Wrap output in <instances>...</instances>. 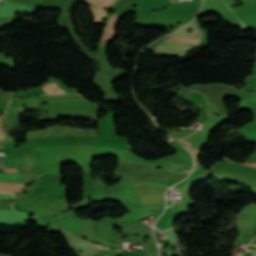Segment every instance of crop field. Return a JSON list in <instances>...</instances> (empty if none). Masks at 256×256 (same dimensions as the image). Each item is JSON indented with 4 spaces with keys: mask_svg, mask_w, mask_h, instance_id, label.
<instances>
[{
    "mask_svg": "<svg viewBox=\"0 0 256 256\" xmlns=\"http://www.w3.org/2000/svg\"><path fill=\"white\" fill-rule=\"evenodd\" d=\"M172 227V226H171Z\"/></svg>",
    "mask_w": 256,
    "mask_h": 256,
    "instance_id": "crop-field-16",
    "label": "crop field"
},
{
    "mask_svg": "<svg viewBox=\"0 0 256 256\" xmlns=\"http://www.w3.org/2000/svg\"><path fill=\"white\" fill-rule=\"evenodd\" d=\"M22 174L0 173V182L18 183Z\"/></svg>",
    "mask_w": 256,
    "mask_h": 256,
    "instance_id": "crop-field-6",
    "label": "crop field"
},
{
    "mask_svg": "<svg viewBox=\"0 0 256 256\" xmlns=\"http://www.w3.org/2000/svg\"><path fill=\"white\" fill-rule=\"evenodd\" d=\"M180 141H183L187 146H189L191 152H192L194 155L197 154L196 149H195L190 143L186 142V141L183 140V139H180ZM195 158H196V165H195V168H194V169H197V168L199 167V164H198V155H196Z\"/></svg>",
    "mask_w": 256,
    "mask_h": 256,
    "instance_id": "crop-field-9",
    "label": "crop field"
},
{
    "mask_svg": "<svg viewBox=\"0 0 256 256\" xmlns=\"http://www.w3.org/2000/svg\"><path fill=\"white\" fill-rule=\"evenodd\" d=\"M97 137H88V136H70V137H54V138H45L27 141L20 149L32 148V147H44V146H54V145H67V144H78V143H87V144H97ZM4 153L12 152L15 150V143L10 145L3 146Z\"/></svg>",
    "mask_w": 256,
    "mask_h": 256,
    "instance_id": "crop-field-2",
    "label": "crop field"
},
{
    "mask_svg": "<svg viewBox=\"0 0 256 256\" xmlns=\"http://www.w3.org/2000/svg\"><path fill=\"white\" fill-rule=\"evenodd\" d=\"M186 28H192L194 31L193 34H187L185 32ZM171 36L202 39L203 32L199 28L196 20L194 19L186 27L176 31L175 33L171 34ZM176 37H169V38H176ZM178 39H186V38H178ZM178 39H167L157 44L152 49L155 51L156 54L184 55L185 51L195 47L200 43L196 41H201L197 39H187V40H196V41H187V40H178Z\"/></svg>",
    "mask_w": 256,
    "mask_h": 256,
    "instance_id": "crop-field-1",
    "label": "crop field"
},
{
    "mask_svg": "<svg viewBox=\"0 0 256 256\" xmlns=\"http://www.w3.org/2000/svg\"><path fill=\"white\" fill-rule=\"evenodd\" d=\"M5 172H18V170L4 169Z\"/></svg>",
    "mask_w": 256,
    "mask_h": 256,
    "instance_id": "crop-field-14",
    "label": "crop field"
},
{
    "mask_svg": "<svg viewBox=\"0 0 256 256\" xmlns=\"http://www.w3.org/2000/svg\"><path fill=\"white\" fill-rule=\"evenodd\" d=\"M13 208H14L15 210L24 211V212H27V210H28L27 207H25L24 205H22V204H20V203H16V202H14Z\"/></svg>",
    "mask_w": 256,
    "mask_h": 256,
    "instance_id": "crop-field-10",
    "label": "crop field"
},
{
    "mask_svg": "<svg viewBox=\"0 0 256 256\" xmlns=\"http://www.w3.org/2000/svg\"><path fill=\"white\" fill-rule=\"evenodd\" d=\"M23 186L21 184L0 183V192H14L20 190Z\"/></svg>",
    "mask_w": 256,
    "mask_h": 256,
    "instance_id": "crop-field-7",
    "label": "crop field"
},
{
    "mask_svg": "<svg viewBox=\"0 0 256 256\" xmlns=\"http://www.w3.org/2000/svg\"><path fill=\"white\" fill-rule=\"evenodd\" d=\"M37 101H66V100H85L81 98L80 95L77 94H63V95H48V96H39L35 97Z\"/></svg>",
    "mask_w": 256,
    "mask_h": 256,
    "instance_id": "crop-field-5",
    "label": "crop field"
},
{
    "mask_svg": "<svg viewBox=\"0 0 256 256\" xmlns=\"http://www.w3.org/2000/svg\"><path fill=\"white\" fill-rule=\"evenodd\" d=\"M18 222L22 223V227H26L25 221L20 214L11 210H0V223L16 224Z\"/></svg>",
    "mask_w": 256,
    "mask_h": 256,
    "instance_id": "crop-field-4",
    "label": "crop field"
},
{
    "mask_svg": "<svg viewBox=\"0 0 256 256\" xmlns=\"http://www.w3.org/2000/svg\"><path fill=\"white\" fill-rule=\"evenodd\" d=\"M19 213L22 215V217H23L24 219L27 218L28 213H24V212H19Z\"/></svg>",
    "mask_w": 256,
    "mask_h": 256,
    "instance_id": "crop-field-13",
    "label": "crop field"
},
{
    "mask_svg": "<svg viewBox=\"0 0 256 256\" xmlns=\"http://www.w3.org/2000/svg\"><path fill=\"white\" fill-rule=\"evenodd\" d=\"M1 148H2V145H1Z\"/></svg>",
    "mask_w": 256,
    "mask_h": 256,
    "instance_id": "crop-field-15",
    "label": "crop field"
},
{
    "mask_svg": "<svg viewBox=\"0 0 256 256\" xmlns=\"http://www.w3.org/2000/svg\"><path fill=\"white\" fill-rule=\"evenodd\" d=\"M20 100H13V101H11L9 106H8V108L19 106Z\"/></svg>",
    "mask_w": 256,
    "mask_h": 256,
    "instance_id": "crop-field-12",
    "label": "crop field"
},
{
    "mask_svg": "<svg viewBox=\"0 0 256 256\" xmlns=\"http://www.w3.org/2000/svg\"><path fill=\"white\" fill-rule=\"evenodd\" d=\"M47 94L52 93H65L62 89H60L55 83L47 85L43 88Z\"/></svg>",
    "mask_w": 256,
    "mask_h": 256,
    "instance_id": "crop-field-8",
    "label": "crop field"
},
{
    "mask_svg": "<svg viewBox=\"0 0 256 256\" xmlns=\"http://www.w3.org/2000/svg\"><path fill=\"white\" fill-rule=\"evenodd\" d=\"M1 200H12V194H2V193H0V201Z\"/></svg>",
    "mask_w": 256,
    "mask_h": 256,
    "instance_id": "crop-field-11",
    "label": "crop field"
},
{
    "mask_svg": "<svg viewBox=\"0 0 256 256\" xmlns=\"http://www.w3.org/2000/svg\"><path fill=\"white\" fill-rule=\"evenodd\" d=\"M58 229L64 234L67 242L69 243V246L72 248L74 246H76L78 249L82 250V253H79V256H93V253L96 250H99L97 247H99L100 249L103 248L101 246H94L92 243H90L89 241L83 240L79 237H76L75 235H73L71 232L69 231H65L61 228L58 227Z\"/></svg>",
    "mask_w": 256,
    "mask_h": 256,
    "instance_id": "crop-field-3",
    "label": "crop field"
}]
</instances>
